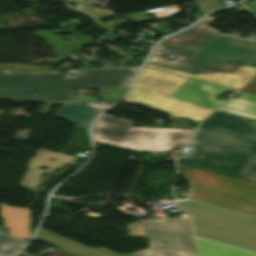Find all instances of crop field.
<instances>
[{
  "instance_id": "crop-field-1",
  "label": "crop field",
  "mask_w": 256,
  "mask_h": 256,
  "mask_svg": "<svg viewBox=\"0 0 256 256\" xmlns=\"http://www.w3.org/2000/svg\"><path fill=\"white\" fill-rule=\"evenodd\" d=\"M192 182L187 200L173 205L190 215L195 236L256 252V185L176 164Z\"/></svg>"
},
{
  "instance_id": "crop-field-2",
  "label": "crop field",
  "mask_w": 256,
  "mask_h": 256,
  "mask_svg": "<svg viewBox=\"0 0 256 256\" xmlns=\"http://www.w3.org/2000/svg\"><path fill=\"white\" fill-rule=\"evenodd\" d=\"M193 150L176 163L256 184V121L216 111L187 144Z\"/></svg>"
},
{
  "instance_id": "crop-field-3",
  "label": "crop field",
  "mask_w": 256,
  "mask_h": 256,
  "mask_svg": "<svg viewBox=\"0 0 256 256\" xmlns=\"http://www.w3.org/2000/svg\"><path fill=\"white\" fill-rule=\"evenodd\" d=\"M179 219L153 217L128 224L129 237L144 236L149 248L123 256H256V254L225 245L195 238L189 227L188 217ZM37 240L77 256H121L104 248H88L43 229Z\"/></svg>"
},
{
  "instance_id": "crop-field-4",
  "label": "crop field",
  "mask_w": 256,
  "mask_h": 256,
  "mask_svg": "<svg viewBox=\"0 0 256 256\" xmlns=\"http://www.w3.org/2000/svg\"><path fill=\"white\" fill-rule=\"evenodd\" d=\"M255 71L256 68L241 65L231 74L193 75L146 64L128 98L135 100L136 104L140 106L150 107L154 110L186 119L201 121L213 109L166 96L191 77L238 89L250 79Z\"/></svg>"
},
{
  "instance_id": "crop-field-5",
  "label": "crop field",
  "mask_w": 256,
  "mask_h": 256,
  "mask_svg": "<svg viewBox=\"0 0 256 256\" xmlns=\"http://www.w3.org/2000/svg\"><path fill=\"white\" fill-rule=\"evenodd\" d=\"M0 99L50 102L77 99L72 89L128 87L138 68L92 71L83 78L66 79L65 73L1 75Z\"/></svg>"
},
{
  "instance_id": "crop-field-6",
  "label": "crop field",
  "mask_w": 256,
  "mask_h": 256,
  "mask_svg": "<svg viewBox=\"0 0 256 256\" xmlns=\"http://www.w3.org/2000/svg\"><path fill=\"white\" fill-rule=\"evenodd\" d=\"M133 123L103 115L93 125L92 136L95 141L125 149L164 151L182 148L192 132L181 129L131 127Z\"/></svg>"
},
{
  "instance_id": "crop-field-7",
  "label": "crop field",
  "mask_w": 256,
  "mask_h": 256,
  "mask_svg": "<svg viewBox=\"0 0 256 256\" xmlns=\"http://www.w3.org/2000/svg\"><path fill=\"white\" fill-rule=\"evenodd\" d=\"M219 31L198 23L187 31L170 37L157 45L153 53L156 55H171L178 57L174 62L151 56L148 63L184 71L193 74L226 72L231 73L239 65L226 64L221 66L190 59L197 51L210 42Z\"/></svg>"
},
{
  "instance_id": "crop-field-8",
  "label": "crop field",
  "mask_w": 256,
  "mask_h": 256,
  "mask_svg": "<svg viewBox=\"0 0 256 256\" xmlns=\"http://www.w3.org/2000/svg\"><path fill=\"white\" fill-rule=\"evenodd\" d=\"M192 58L216 65L238 63L256 67V41L218 34Z\"/></svg>"
},
{
  "instance_id": "crop-field-9",
  "label": "crop field",
  "mask_w": 256,
  "mask_h": 256,
  "mask_svg": "<svg viewBox=\"0 0 256 256\" xmlns=\"http://www.w3.org/2000/svg\"><path fill=\"white\" fill-rule=\"evenodd\" d=\"M226 89L236 91L225 86L191 78L168 97L215 109L224 102V100L215 97Z\"/></svg>"
},
{
  "instance_id": "crop-field-10",
  "label": "crop field",
  "mask_w": 256,
  "mask_h": 256,
  "mask_svg": "<svg viewBox=\"0 0 256 256\" xmlns=\"http://www.w3.org/2000/svg\"><path fill=\"white\" fill-rule=\"evenodd\" d=\"M54 158V161L51 159ZM78 158L67 156L59 153L50 152H40L29 160L28 170L26 171L23 180L21 181V187L28 189L31 192H37L40 188L39 181L41 180L43 174L52 173L59 169L66 163H73ZM47 167L48 170L44 171L39 168Z\"/></svg>"
},
{
  "instance_id": "crop-field-11",
  "label": "crop field",
  "mask_w": 256,
  "mask_h": 256,
  "mask_svg": "<svg viewBox=\"0 0 256 256\" xmlns=\"http://www.w3.org/2000/svg\"><path fill=\"white\" fill-rule=\"evenodd\" d=\"M0 218L10 228V235L22 239H30V211L25 208L0 204Z\"/></svg>"
},
{
  "instance_id": "crop-field-12",
  "label": "crop field",
  "mask_w": 256,
  "mask_h": 256,
  "mask_svg": "<svg viewBox=\"0 0 256 256\" xmlns=\"http://www.w3.org/2000/svg\"><path fill=\"white\" fill-rule=\"evenodd\" d=\"M100 111L102 110L82 104H69L64 105L54 115L78 127L87 129L91 119Z\"/></svg>"
},
{
  "instance_id": "crop-field-13",
  "label": "crop field",
  "mask_w": 256,
  "mask_h": 256,
  "mask_svg": "<svg viewBox=\"0 0 256 256\" xmlns=\"http://www.w3.org/2000/svg\"><path fill=\"white\" fill-rule=\"evenodd\" d=\"M217 110L256 120V95L244 92L240 97L230 99Z\"/></svg>"
},
{
  "instance_id": "crop-field-14",
  "label": "crop field",
  "mask_w": 256,
  "mask_h": 256,
  "mask_svg": "<svg viewBox=\"0 0 256 256\" xmlns=\"http://www.w3.org/2000/svg\"><path fill=\"white\" fill-rule=\"evenodd\" d=\"M67 1H71L75 4H77V6H76L77 9H79L93 17H96V18L115 16V14H113L107 10L95 8L91 5H89V2H87L86 0H67Z\"/></svg>"
},
{
  "instance_id": "crop-field-15",
  "label": "crop field",
  "mask_w": 256,
  "mask_h": 256,
  "mask_svg": "<svg viewBox=\"0 0 256 256\" xmlns=\"http://www.w3.org/2000/svg\"><path fill=\"white\" fill-rule=\"evenodd\" d=\"M19 242H22L24 244L23 245L18 244ZM25 245L26 243L21 240L0 235V256L11 255Z\"/></svg>"
},
{
  "instance_id": "crop-field-16",
  "label": "crop field",
  "mask_w": 256,
  "mask_h": 256,
  "mask_svg": "<svg viewBox=\"0 0 256 256\" xmlns=\"http://www.w3.org/2000/svg\"><path fill=\"white\" fill-rule=\"evenodd\" d=\"M128 90V88H114L100 90L103 101L114 104L117 102Z\"/></svg>"
},
{
  "instance_id": "crop-field-17",
  "label": "crop field",
  "mask_w": 256,
  "mask_h": 256,
  "mask_svg": "<svg viewBox=\"0 0 256 256\" xmlns=\"http://www.w3.org/2000/svg\"><path fill=\"white\" fill-rule=\"evenodd\" d=\"M194 3L204 14H206L212 9L220 7V5L215 0H198L194 1Z\"/></svg>"
},
{
  "instance_id": "crop-field-18",
  "label": "crop field",
  "mask_w": 256,
  "mask_h": 256,
  "mask_svg": "<svg viewBox=\"0 0 256 256\" xmlns=\"http://www.w3.org/2000/svg\"><path fill=\"white\" fill-rule=\"evenodd\" d=\"M256 78V76H255ZM242 91L250 92L256 94V80H251L244 88L241 89Z\"/></svg>"
},
{
  "instance_id": "crop-field-19",
  "label": "crop field",
  "mask_w": 256,
  "mask_h": 256,
  "mask_svg": "<svg viewBox=\"0 0 256 256\" xmlns=\"http://www.w3.org/2000/svg\"><path fill=\"white\" fill-rule=\"evenodd\" d=\"M93 23H94L95 25H97L98 27H100V28H102V29H104V30H106V31H108V32H110V33L113 32L114 30H116V28H113V27H111V26H108V25L102 23V22L99 21V20L94 21Z\"/></svg>"
},
{
  "instance_id": "crop-field-20",
  "label": "crop field",
  "mask_w": 256,
  "mask_h": 256,
  "mask_svg": "<svg viewBox=\"0 0 256 256\" xmlns=\"http://www.w3.org/2000/svg\"><path fill=\"white\" fill-rule=\"evenodd\" d=\"M254 15H256V0L244 4Z\"/></svg>"
},
{
  "instance_id": "crop-field-21",
  "label": "crop field",
  "mask_w": 256,
  "mask_h": 256,
  "mask_svg": "<svg viewBox=\"0 0 256 256\" xmlns=\"http://www.w3.org/2000/svg\"><path fill=\"white\" fill-rule=\"evenodd\" d=\"M19 256H33V255L23 252ZM50 256H73V255H70V254H67V253H64V252L58 250L57 252H55L54 254H52Z\"/></svg>"
},
{
  "instance_id": "crop-field-22",
  "label": "crop field",
  "mask_w": 256,
  "mask_h": 256,
  "mask_svg": "<svg viewBox=\"0 0 256 256\" xmlns=\"http://www.w3.org/2000/svg\"><path fill=\"white\" fill-rule=\"evenodd\" d=\"M79 102L81 101H100L99 98H92V95L88 96H77Z\"/></svg>"
},
{
  "instance_id": "crop-field-23",
  "label": "crop field",
  "mask_w": 256,
  "mask_h": 256,
  "mask_svg": "<svg viewBox=\"0 0 256 256\" xmlns=\"http://www.w3.org/2000/svg\"><path fill=\"white\" fill-rule=\"evenodd\" d=\"M85 105H89V106L99 108V109H102V110L111 106V105H107V104H104V103H99V104H97V103H85Z\"/></svg>"
},
{
  "instance_id": "crop-field-24",
  "label": "crop field",
  "mask_w": 256,
  "mask_h": 256,
  "mask_svg": "<svg viewBox=\"0 0 256 256\" xmlns=\"http://www.w3.org/2000/svg\"><path fill=\"white\" fill-rule=\"evenodd\" d=\"M69 102H78V101L77 100H71V101L50 102V103H45V104L50 105V104H60V103H69Z\"/></svg>"
},
{
  "instance_id": "crop-field-25",
  "label": "crop field",
  "mask_w": 256,
  "mask_h": 256,
  "mask_svg": "<svg viewBox=\"0 0 256 256\" xmlns=\"http://www.w3.org/2000/svg\"><path fill=\"white\" fill-rule=\"evenodd\" d=\"M0 233L9 235V228L0 227Z\"/></svg>"
},
{
  "instance_id": "crop-field-26",
  "label": "crop field",
  "mask_w": 256,
  "mask_h": 256,
  "mask_svg": "<svg viewBox=\"0 0 256 256\" xmlns=\"http://www.w3.org/2000/svg\"><path fill=\"white\" fill-rule=\"evenodd\" d=\"M124 101L135 103L134 101L128 99H125Z\"/></svg>"
}]
</instances>
